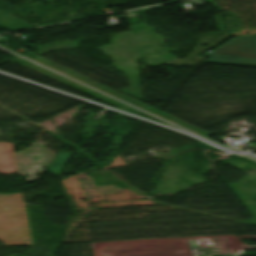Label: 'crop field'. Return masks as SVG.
<instances>
[{"instance_id":"obj_1","label":"crop field","mask_w":256,"mask_h":256,"mask_svg":"<svg viewBox=\"0 0 256 256\" xmlns=\"http://www.w3.org/2000/svg\"><path fill=\"white\" fill-rule=\"evenodd\" d=\"M202 56L209 57L208 63L256 66V34L232 39Z\"/></svg>"}]
</instances>
